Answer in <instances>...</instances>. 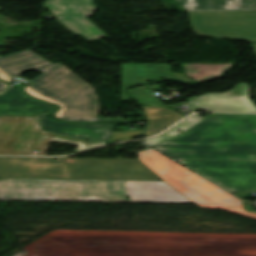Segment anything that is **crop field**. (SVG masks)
I'll return each instance as SVG.
<instances>
[{"label":"crop field","instance_id":"obj_1","mask_svg":"<svg viewBox=\"0 0 256 256\" xmlns=\"http://www.w3.org/2000/svg\"><path fill=\"white\" fill-rule=\"evenodd\" d=\"M180 194L162 181L0 180V200L9 201L193 203Z\"/></svg>","mask_w":256,"mask_h":256},{"label":"crop field","instance_id":"obj_2","mask_svg":"<svg viewBox=\"0 0 256 256\" xmlns=\"http://www.w3.org/2000/svg\"><path fill=\"white\" fill-rule=\"evenodd\" d=\"M152 148L172 159L256 160V115L216 114Z\"/></svg>","mask_w":256,"mask_h":256},{"label":"crop field","instance_id":"obj_3","mask_svg":"<svg viewBox=\"0 0 256 256\" xmlns=\"http://www.w3.org/2000/svg\"><path fill=\"white\" fill-rule=\"evenodd\" d=\"M0 67L13 79L28 70H36L42 73L39 77L30 81L33 83L30 87L39 94L53 99L66 107L61 121L122 120V118L97 119L99 105L92 87L61 63L53 65L26 49L0 58Z\"/></svg>","mask_w":256,"mask_h":256},{"label":"crop field","instance_id":"obj_4","mask_svg":"<svg viewBox=\"0 0 256 256\" xmlns=\"http://www.w3.org/2000/svg\"><path fill=\"white\" fill-rule=\"evenodd\" d=\"M0 178L159 180L137 159L0 157Z\"/></svg>","mask_w":256,"mask_h":256},{"label":"crop field","instance_id":"obj_5","mask_svg":"<svg viewBox=\"0 0 256 256\" xmlns=\"http://www.w3.org/2000/svg\"><path fill=\"white\" fill-rule=\"evenodd\" d=\"M139 160L164 182L202 208L221 209L256 220V213L243 209L244 202L187 171L153 150L137 152Z\"/></svg>","mask_w":256,"mask_h":256},{"label":"crop field","instance_id":"obj_6","mask_svg":"<svg viewBox=\"0 0 256 256\" xmlns=\"http://www.w3.org/2000/svg\"><path fill=\"white\" fill-rule=\"evenodd\" d=\"M37 123L32 117L0 116V154L33 155V150H39L37 155H45L51 142L77 145L76 153L116 142H87L57 135L43 131Z\"/></svg>","mask_w":256,"mask_h":256},{"label":"crop field","instance_id":"obj_7","mask_svg":"<svg viewBox=\"0 0 256 256\" xmlns=\"http://www.w3.org/2000/svg\"><path fill=\"white\" fill-rule=\"evenodd\" d=\"M176 161L229 192L256 193V161Z\"/></svg>","mask_w":256,"mask_h":256},{"label":"crop field","instance_id":"obj_8","mask_svg":"<svg viewBox=\"0 0 256 256\" xmlns=\"http://www.w3.org/2000/svg\"><path fill=\"white\" fill-rule=\"evenodd\" d=\"M198 36L256 40V12H189Z\"/></svg>","mask_w":256,"mask_h":256},{"label":"crop field","instance_id":"obj_9","mask_svg":"<svg viewBox=\"0 0 256 256\" xmlns=\"http://www.w3.org/2000/svg\"><path fill=\"white\" fill-rule=\"evenodd\" d=\"M45 6L54 14L56 21L75 35L80 34L88 41L107 37L86 18L92 16L97 8L93 0H48Z\"/></svg>","mask_w":256,"mask_h":256},{"label":"crop field","instance_id":"obj_10","mask_svg":"<svg viewBox=\"0 0 256 256\" xmlns=\"http://www.w3.org/2000/svg\"><path fill=\"white\" fill-rule=\"evenodd\" d=\"M192 111H236L256 112V106L248 99V85L239 83L226 93H207L200 97L187 99Z\"/></svg>","mask_w":256,"mask_h":256},{"label":"crop field","instance_id":"obj_11","mask_svg":"<svg viewBox=\"0 0 256 256\" xmlns=\"http://www.w3.org/2000/svg\"><path fill=\"white\" fill-rule=\"evenodd\" d=\"M161 79H177L192 84L196 82L183 74L171 72L169 64H121V101L130 100L123 93L124 86Z\"/></svg>","mask_w":256,"mask_h":256},{"label":"crop field","instance_id":"obj_12","mask_svg":"<svg viewBox=\"0 0 256 256\" xmlns=\"http://www.w3.org/2000/svg\"><path fill=\"white\" fill-rule=\"evenodd\" d=\"M40 127L44 130L84 139L87 141L110 140L114 124H68L58 123L46 116L35 117Z\"/></svg>","mask_w":256,"mask_h":256},{"label":"crop field","instance_id":"obj_13","mask_svg":"<svg viewBox=\"0 0 256 256\" xmlns=\"http://www.w3.org/2000/svg\"><path fill=\"white\" fill-rule=\"evenodd\" d=\"M52 111V107L28 98L15 87L0 93V115L31 116Z\"/></svg>","mask_w":256,"mask_h":256},{"label":"crop field","instance_id":"obj_14","mask_svg":"<svg viewBox=\"0 0 256 256\" xmlns=\"http://www.w3.org/2000/svg\"><path fill=\"white\" fill-rule=\"evenodd\" d=\"M187 11H250L255 0H176Z\"/></svg>","mask_w":256,"mask_h":256},{"label":"crop field","instance_id":"obj_15","mask_svg":"<svg viewBox=\"0 0 256 256\" xmlns=\"http://www.w3.org/2000/svg\"><path fill=\"white\" fill-rule=\"evenodd\" d=\"M145 111L147 117V128L144 136L155 135L165 128L184 118L179 113L169 108L162 107H140Z\"/></svg>","mask_w":256,"mask_h":256},{"label":"crop field","instance_id":"obj_16","mask_svg":"<svg viewBox=\"0 0 256 256\" xmlns=\"http://www.w3.org/2000/svg\"><path fill=\"white\" fill-rule=\"evenodd\" d=\"M215 113H212L210 114L209 116L205 117V118H202L200 116H197V115H193L189 118H187L186 120H184L183 122H181L180 124H178L177 126H175L174 128H172L171 130H169L168 132L158 136V137H153V138H150V139H146L144 140L145 142V146H148V147H152L154 145H157L169 138H172L174 136H177L179 135L180 133H182L183 131L191 128L192 126L198 124L199 122L207 119L208 117L214 115ZM181 129L182 132H177V130ZM184 133V132H183Z\"/></svg>","mask_w":256,"mask_h":256},{"label":"crop field","instance_id":"obj_17","mask_svg":"<svg viewBox=\"0 0 256 256\" xmlns=\"http://www.w3.org/2000/svg\"><path fill=\"white\" fill-rule=\"evenodd\" d=\"M24 90H25L26 93L30 94L32 97H35V98L44 100V101H46V102H48V103H51V104L57 106V107L59 108V111H58L54 116H55V118L58 119V120L61 119V117H62V115H63V113H64V110H65V107H64L63 105H61V104H59V103H57V102H55V101H53V100H50V99H48V98H45V97H43V96L37 94L35 91H33V90H32L31 88H29V87L25 88Z\"/></svg>","mask_w":256,"mask_h":256},{"label":"crop field","instance_id":"obj_18","mask_svg":"<svg viewBox=\"0 0 256 256\" xmlns=\"http://www.w3.org/2000/svg\"><path fill=\"white\" fill-rule=\"evenodd\" d=\"M143 130L113 132L111 140H129L131 137L139 136Z\"/></svg>","mask_w":256,"mask_h":256},{"label":"crop field","instance_id":"obj_19","mask_svg":"<svg viewBox=\"0 0 256 256\" xmlns=\"http://www.w3.org/2000/svg\"><path fill=\"white\" fill-rule=\"evenodd\" d=\"M0 79H1V80H4V81H8V82H10L11 80H13V79H11L10 77H8V76L4 73V71H3L2 69H0Z\"/></svg>","mask_w":256,"mask_h":256},{"label":"crop field","instance_id":"obj_20","mask_svg":"<svg viewBox=\"0 0 256 256\" xmlns=\"http://www.w3.org/2000/svg\"><path fill=\"white\" fill-rule=\"evenodd\" d=\"M7 87L9 86L6 84L0 83V91L6 89Z\"/></svg>","mask_w":256,"mask_h":256},{"label":"crop field","instance_id":"obj_21","mask_svg":"<svg viewBox=\"0 0 256 256\" xmlns=\"http://www.w3.org/2000/svg\"><path fill=\"white\" fill-rule=\"evenodd\" d=\"M253 48H254V52H255V54H256V43L255 44H253V46H252Z\"/></svg>","mask_w":256,"mask_h":256},{"label":"crop field","instance_id":"obj_22","mask_svg":"<svg viewBox=\"0 0 256 256\" xmlns=\"http://www.w3.org/2000/svg\"><path fill=\"white\" fill-rule=\"evenodd\" d=\"M252 10H256V2H255V4H254Z\"/></svg>","mask_w":256,"mask_h":256}]
</instances>
